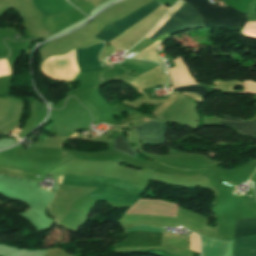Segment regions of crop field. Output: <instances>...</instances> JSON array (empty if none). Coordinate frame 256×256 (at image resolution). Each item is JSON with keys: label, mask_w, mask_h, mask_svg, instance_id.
Instances as JSON below:
<instances>
[{"label": "crop field", "mask_w": 256, "mask_h": 256, "mask_svg": "<svg viewBox=\"0 0 256 256\" xmlns=\"http://www.w3.org/2000/svg\"><path fill=\"white\" fill-rule=\"evenodd\" d=\"M224 119H225L226 121H243L242 119H232V118L229 117V116L224 117Z\"/></svg>", "instance_id": "obj_14"}, {"label": "crop field", "mask_w": 256, "mask_h": 256, "mask_svg": "<svg viewBox=\"0 0 256 256\" xmlns=\"http://www.w3.org/2000/svg\"><path fill=\"white\" fill-rule=\"evenodd\" d=\"M233 256H256V235L233 241Z\"/></svg>", "instance_id": "obj_7"}, {"label": "crop field", "mask_w": 256, "mask_h": 256, "mask_svg": "<svg viewBox=\"0 0 256 256\" xmlns=\"http://www.w3.org/2000/svg\"><path fill=\"white\" fill-rule=\"evenodd\" d=\"M114 150L124 153L126 155H129L131 157H135L136 153L134 152L133 148L130 146V144L126 141V139L121 136L118 138H115L114 140Z\"/></svg>", "instance_id": "obj_11"}, {"label": "crop field", "mask_w": 256, "mask_h": 256, "mask_svg": "<svg viewBox=\"0 0 256 256\" xmlns=\"http://www.w3.org/2000/svg\"><path fill=\"white\" fill-rule=\"evenodd\" d=\"M193 6L203 23L207 27H223L243 29L246 23V14L229 6H216L208 0H184Z\"/></svg>", "instance_id": "obj_1"}, {"label": "crop field", "mask_w": 256, "mask_h": 256, "mask_svg": "<svg viewBox=\"0 0 256 256\" xmlns=\"http://www.w3.org/2000/svg\"><path fill=\"white\" fill-rule=\"evenodd\" d=\"M38 7V9L45 15H53L57 13H63L65 11H69L75 7L67 3L65 0H51L52 3L58 8V11L56 7L51 3L50 0H33Z\"/></svg>", "instance_id": "obj_5"}, {"label": "crop field", "mask_w": 256, "mask_h": 256, "mask_svg": "<svg viewBox=\"0 0 256 256\" xmlns=\"http://www.w3.org/2000/svg\"><path fill=\"white\" fill-rule=\"evenodd\" d=\"M177 91H187V92H194L197 93L198 95H200L202 98L208 94L207 90L202 87V86H185V87H181V88H177V89H173V92H177Z\"/></svg>", "instance_id": "obj_12"}, {"label": "crop field", "mask_w": 256, "mask_h": 256, "mask_svg": "<svg viewBox=\"0 0 256 256\" xmlns=\"http://www.w3.org/2000/svg\"><path fill=\"white\" fill-rule=\"evenodd\" d=\"M138 230H147V231H152V232H163L164 229L154 228V227H150V226H137V227L125 230V231L128 232V231H138Z\"/></svg>", "instance_id": "obj_13"}, {"label": "crop field", "mask_w": 256, "mask_h": 256, "mask_svg": "<svg viewBox=\"0 0 256 256\" xmlns=\"http://www.w3.org/2000/svg\"><path fill=\"white\" fill-rule=\"evenodd\" d=\"M158 5L160 4H158L156 1H150L131 14L106 25L95 37L106 42L110 41L112 38L131 26L137 20L156 8Z\"/></svg>", "instance_id": "obj_3"}, {"label": "crop field", "mask_w": 256, "mask_h": 256, "mask_svg": "<svg viewBox=\"0 0 256 256\" xmlns=\"http://www.w3.org/2000/svg\"><path fill=\"white\" fill-rule=\"evenodd\" d=\"M104 43H98L86 48H83L85 57H86V61L89 67L90 71H96V70H100L102 69V67L100 66V63L97 59V56L102 48Z\"/></svg>", "instance_id": "obj_9"}, {"label": "crop field", "mask_w": 256, "mask_h": 256, "mask_svg": "<svg viewBox=\"0 0 256 256\" xmlns=\"http://www.w3.org/2000/svg\"><path fill=\"white\" fill-rule=\"evenodd\" d=\"M201 27L196 10L184 3L149 39L152 40L166 32L172 35L179 31Z\"/></svg>", "instance_id": "obj_2"}, {"label": "crop field", "mask_w": 256, "mask_h": 256, "mask_svg": "<svg viewBox=\"0 0 256 256\" xmlns=\"http://www.w3.org/2000/svg\"><path fill=\"white\" fill-rule=\"evenodd\" d=\"M135 129L142 142L163 143L165 123L149 121L142 126H136Z\"/></svg>", "instance_id": "obj_4"}, {"label": "crop field", "mask_w": 256, "mask_h": 256, "mask_svg": "<svg viewBox=\"0 0 256 256\" xmlns=\"http://www.w3.org/2000/svg\"><path fill=\"white\" fill-rule=\"evenodd\" d=\"M190 241V240H189Z\"/></svg>", "instance_id": "obj_17"}, {"label": "crop field", "mask_w": 256, "mask_h": 256, "mask_svg": "<svg viewBox=\"0 0 256 256\" xmlns=\"http://www.w3.org/2000/svg\"><path fill=\"white\" fill-rule=\"evenodd\" d=\"M76 135H78V134L75 133V134H73L71 137L76 136Z\"/></svg>", "instance_id": "obj_16"}, {"label": "crop field", "mask_w": 256, "mask_h": 256, "mask_svg": "<svg viewBox=\"0 0 256 256\" xmlns=\"http://www.w3.org/2000/svg\"><path fill=\"white\" fill-rule=\"evenodd\" d=\"M219 125L229 126L241 135L254 137L256 136V122H224L220 121Z\"/></svg>", "instance_id": "obj_10"}, {"label": "crop field", "mask_w": 256, "mask_h": 256, "mask_svg": "<svg viewBox=\"0 0 256 256\" xmlns=\"http://www.w3.org/2000/svg\"><path fill=\"white\" fill-rule=\"evenodd\" d=\"M202 238V256H222L227 248L228 241L217 240L205 236Z\"/></svg>", "instance_id": "obj_6"}, {"label": "crop field", "mask_w": 256, "mask_h": 256, "mask_svg": "<svg viewBox=\"0 0 256 256\" xmlns=\"http://www.w3.org/2000/svg\"><path fill=\"white\" fill-rule=\"evenodd\" d=\"M256 234V218L236 220L234 239Z\"/></svg>", "instance_id": "obj_8"}, {"label": "crop field", "mask_w": 256, "mask_h": 256, "mask_svg": "<svg viewBox=\"0 0 256 256\" xmlns=\"http://www.w3.org/2000/svg\"><path fill=\"white\" fill-rule=\"evenodd\" d=\"M63 177H64V176H60L58 184H61V183H62Z\"/></svg>", "instance_id": "obj_15"}]
</instances>
